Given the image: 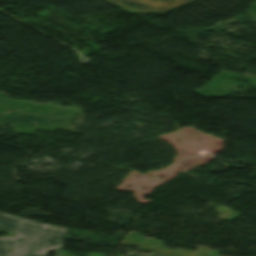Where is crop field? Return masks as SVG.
Returning <instances> with one entry per match:
<instances>
[{"mask_svg": "<svg viewBox=\"0 0 256 256\" xmlns=\"http://www.w3.org/2000/svg\"><path fill=\"white\" fill-rule=\"evenodd\" d=\"M0 228L13 231L0 237V256H45L63 246L66 229L0 212Z\"/></svg>", "mask_w": 256, "mask_h": 256, "instance_id": "crop-field-1", "label": "crop field"}, {"mask_svg": "<svg viewBox=\"0 0 256 256\" xmlns=\"http://www.w3.org/2000/svg\"><path fill=\"white\" fill-rule=\"evenodd\" d=\"M113 5L129 12V13H165L182 5H185L189 2L194 0H167L163 2V0H106ZM122 1L129 2V3H138L135 6H128L126 4L121 3ZM173 3H169L172 2ZM140 4H145L144 6L138 8L137 6ZM149 7L148 9L142 10L145 7ZM154 9V11H151ZM159 10L161 12H159Z\"/></svg>", "mask_w": 256, "mask_h": 256, "instance_id": "crop-field-2", "label": "crop field"}]
</instances>
